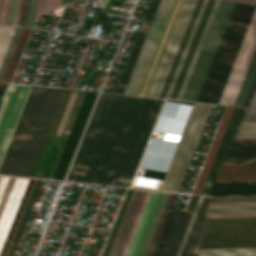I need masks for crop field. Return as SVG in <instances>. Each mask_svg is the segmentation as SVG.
Here are the masks:
<instances>
[{"label":"crop field","mask_w":256,"mask_h":256,"mask_svg":"<svg viewBox=\"0 0 256 256\" xmlns=\"http://www.w3.org/2000/svg\"><path fill=\"white\" fill-rule=\"evenodd\" d=\"M163 102L101 94L68 180L129 187Z\"/></svg>","instance_id":"crop-field-1"},{"label":"crop field","mask_w":256,"mask_h":256,"mask_svg":"<svg viewBox=\"0 0 256 256\" xmlns=\"http://www.w3.org/2000/svg\"><path fill=\"white\" fill-rule=\"evenodd\" d=\"M64 91L32 87L0 174L31 176Z\"/></svg>","instance_id":"crop-field-2"},{"label":"crop field","mask_w":256,"mask_h":256,"mask_svg":"<svg viewBox=\"0 0 256 256\" xmlns=\"http://www.w3.org/2000/svg\"><path fill=\"white\" fill-rule=\"evenodd\" d=\"M177 195L135 190L109 256H153Z\"/></svg>","instance_id":"crop-field-3"},{"label":"crop field","mask_w":256,"mask_h":256,"mask_svg":"<svg viewBox=\"0 0 256 256\" xmlns=\"http://www.w3.org/2000/svg\"><path fill=\"white\" fill-rule=\"evenodd\" d=\"M255 7L240 4L201 102L218 103Z\"/></svg>","instance_id":"crop-field-4"},{"label":"crop field","mask_w":256,"mask_h":256,"mask_svg":"<svg viewBox=\"0 0 256 256\" xmlns=\"http://www.w3.org/2000/svg\"><path fill=\"white\" fill-rule=\"evenodd\" d=\"M256 248V218L206 219L199 249Z\"/></svg>","instance_id":"crop-field-5"},{"label":"crop field","mask_w":256,"mask_h":256,"mask_svg":"<svg viewBox=\"0 0 256 256\" xmlns=\"http://www.w3.org/2000/svg\"><path fill=\"white\" fill-rule=\"evenodd\" d=\"M220 0H204L165 98L180 100Z\"/></svg>","instance_id":"crop-field-6"},{"label":"crop field","mask_w":256,"mask_h":256,"mask_svg":"<svg viewBox=\"0 0 256 256\" xmlns=\"http://www.w3.org/2000/svg\"><path fill=\"white\" fill-rule=\"evenodd\" d=\"M212 106L209 104H195L161 190L179 191Z\"/></svg>","instance_id":"crop-field-7"},{"label":"crop field","mask_w":256,"mask_h":256,"mask_svg":"<svg viewBox=\"0 0 256 256\" xmlns=\"http://www.w3.org/2000/svg\"><path fill=\"white\" fill-rule=\"evenodd\" d=\"M234 4L220 1L181 100H196Z\"/></svg>","instance_id":"crop-field-8"},{"label":"crop field","mask_w":256,"mask_h":256,"mask_svg":"<svg viewBox=\"0 0 256 256\" xmlns=\"http://www.w3.org/2000/svg\"><path fill=\"white\" fill-rule=\"evenodd\" d=\"M174 0H160L123 94L136 95ZM142 85V84H141ZM140 90V89H139ZM138 95V94H137Z\"/></svg>","instance_id":"crop-field-9"},{"label":"crop field","mask_w":256,"mask_h":256,"mask_svg":"<svg viewBox=\"0 0 256 256\" xmlns=\"http://www.w3.org/2000/svg\"><path fill=\"white\" fill-rule=\"evenodd\" d=\"M32 86L8 84L0 103V166Z\"/></svg>","instance_id":"crop-field-10"},{"label":"crop field","mask_w":256,"mask_h":256,"mask_svg":"<svg viewBox=\"0 0 256 256\" xmlns=\"http://www.w3.org/2000/svg\"><path fill=\"white\" fill-rule=\"evenodd\" d=\"M197 0H185L146 96L158 98Z\"/></svg>","instance_id":"crop-field-11"},{"label":"crop field","mask_w":256,"mask_h":256,"mask_svg":"<svg viewBox=\"0 0 256 256\" xmlns=\"http://www.w3.org/2000/svg\"><path fill=\"white\" fill-rule=\"evenodd\" d=\"M255 50L256 9L218 104H234Z\"/></svg>","instance_id":"crop-field-12"},{"label":"crop field","mask_w":256,"mask_h":256,"mask_svg":"<svg viewBox=\"0 0 256 256\" xmlns=\"http://www.w3.org/2000/svg\"><path fill=\"white\" fill-rule=\"evenodd\" d=\"M28 180L0 176V251Z\"/></svg>","instance_id":"crop-field-13"},{"label":"crop field","mask_w":256,"mask_h":256,"mask_svg":"<svg viewBox=\"0 0 256 256\" xmlns=\"http://www.w3.org/2000/svg\"><path fill=\"white\" fill-rule=\"evenodd\" d=\"M191 214L172 211L154 256H175Z\"/></svg>","instance_id":"crop-field-14"},{"label":"crop field","mask_w":256,"mask_h":256,"mask_svg":"<svg viewBox=\"0 0 256 256\" xmlns=\"http://www.w3.org/2000/svg\"><path fill=\"white\" fill-rule=\"evenodd\" d=\"M209 197H199L176 256H196Z\"/></svg>","instance_id":"crop-field-15"},{"label":"crop field","mask_w":256,"mask_h":256,"mask_svg":"<svg viewBox=\"0 0 256 256\" xmlns=\"http://www.w3.org/2000/svg\"><path fill=\"white\" fill-rule=\"evenodd\" d=\"M184 0H175L138 95L145 96Z\"/></svg>","instance_id":"crop-field-16"},{"label":"crop field","mask_w":256,"mask_h":256,"mask_svg":"<svg viewBox=\"0 0 256 256\" xmlns=\"http://www.w3.org/2000/svg\"><path fill=\"white\" fill-rule=\"evenodd\" d=\"M158 3H159V0H152V2L150 4V7L148 9V12L146 14V17L144 19V22L142 24V27H141L140 32L138 34V37L136 39L135 45L133 47V50L131 52V55L129 57V60L127 62V65L125 67V70L123 72V75L121 77V80L119 82V85H118L117 90H116L115 93L122 94L123 91H124V88L126 86L128 78H129L130 73L132 71V68H133L134 63L136 61V58L138 56V53L140 51V48L142 46L143 40L145 38V35L147 33V30L149 28V25L151 23V20L153 18V15L155 13V10L157 8Z\"/></svg>","instance_id":"crop-field-17"},{"label":"crop field","mask_w":256,"mask_h":256,"mask_svg":"<svg viewBox=\"0 0 256 256\" xmlns=\"http://www.w3.org/2000/svg\"><path fill=\"white\" fill-rule=\"evenodd\" d=\"M256 217V203L210 204L206 218Z\"/></svg>","instance_id":"crop-field-18"},{"label":"crop field","mask_w":256,"mask_h":256,"mask_svg":"<svg viewBox=\"0 0 256 256\" xmlns=\"http://www.w3.org/2000/svg\"><path fill=\"white\" fill-rule=\"evenodd\" d=\"M221 164H256V141H231Z\"/></svg>","instance_id":"crop-field-19"},{"label":"crop field","mask_w":256,"mask_h":256,"mask_svg":"<svg viewBox=\"0 0 256 256\" xmlns=\"http://www.w3.org/2000/svg\"><path fill=\"white\" fill-rule=\"evenodd\" d=\"M36 2L37 0H12L7 24L31 27Z\"/></svg>","instance_id":"crop-field-20"},{"label":"crop field","mask_w":256,"mask_h":256,"mask_svg":"<svg viewBox=\"0 0 256 256\" xmlns=\"http://www.w3.org/2000/svg\"><path fill=\"white\" fill-rule=\"evenodd\" d=\"M244 110H245L244 108H237V107L234 110V113L232 115V118L230 120L228 128L226 130V133H225L224 138L222 140V143L220 145L219 151L217 153V156L215 158V161L213 163V166L211 168V171L209 173V176L207 178V181H206L205 186L203 188V191L201 193L202 195H209L210 187H211V184H212L213 179L215 177L217 167H218V165L221 161V158H222V156H223V154L226 150V147H227V145H228V143H229V141H230V139H231V137H232V135L235 131V128H236Z\"/></svg>","instance_id":"crop-field-21"},{"label":"crop field","mask_w":256,"mask_h":256,"mask_svg":"<svg viewBox=\"0 0 256 256\" xmlns=\"http://www.w3.org/2000/svg\"><path fill=\"white\" fill-rule=\"evenodd\" d=\"M235 138H256V91L250 101Z\"/></svg>","instance_id":"crop-field-22"},{"label":"crop field","mask_w":256,"mask_h":256,"mask_svg":"<svg viewBox=\"0 0 256 256\" xmlns=\"http://www.w3.org/2000/svg\"><path fill=\"white\" fill-rule=\"evenodd\" d=\"M256 78V52L234 105L244 106Z\"/></svg>","instance_id":"crop-field-23"},{"label":"crop field","mask_w":256,"mask_h":256,"mask_svg":"<svg viewBox=\"0 0 256 256\" xmlns=\"http://www.w3.org/2000/svg\"><path fill=\"white\" fill-rule=\"evenodd\" d=\"M238 6H239V3H236L235 6H234V9H233L232 14H231V16H230V19H229V21H228V24H227V26H226V28H225V31H224V33H223V36H222V38H221V41H220V43H219V46H218V48H217V51H216V53H215V56H214L213 61H212V63H211V66H210V68H209V71H208V73H207V76H206V78H205V80H204V83H203V85H202V88H201V90H200V93H199V95H198V98H197V100H196V101H198V102H200L201 99H202V96H203V94H204V91H205V89H206V86H207V84H208V81H209V79H210V76H211L212 71H213V69H214V66H215V64H216V61H217L218 56H219V53H220V51H221V48H222V46H223V43H224V41H225V38H226V36H227V33H228V31H229V28H230V26H231V23H232V21H233V18H234V16H235V13H236V11H237Z\"/></svg>","instance_id":"crop-field-24"},{"label":"crop field","mask_w":256,"mask_h":256,"mask_svg":"<svg viewBox=\"0 0 256 256\" xmlns=\"http://www.w3.org/2000/svg\"><path fill=\"white\" fill-rule=\"evenodd\" d=\"M256 256V249L199 250L198 256Z\"/></svg>","instance_id":"crop-field-25"},{"label":"crop field","mask_w":256,"mask_h":256,"mask_svg":"<svg viewBox=\"0 0 256 256\" xmlns=\"http://www.w3.org/2000/svg\"><path fill=\"white\" fill-rule=\"evenodd\" d=\"M41 181H42V180H38V181H37V183H36V185H35V188H34L32 194H31V197H30L29 202H28V204H27L26 210H25V212H24V215H23V217H22V220H21V222H20V225H19V227H18V230H17V232H16V234H15V237H14L12 246H11V248H10V251H9V253H8V256H12V253H13V251H14V248H15V246H16V243H17L18 238H19L20 233H21L20 231H22V228H23V226H24V223H25V221H26V219H27V216H28V214H29V212H30V210H31V207H32V205H33V203H34V200H35V197H36V195H37V192H38L39 186H40V184H41Z\"/></svg>","instance_id":"crop-field-26"},{"label":"crop field","mask_w":256,"mask_h":256,"mask_svg":"<svg viewBox=\"0 0 256 256\" xmlns=\"http://www.w3.org/2000/svg\"><path fill=\"white\" fill-rule=\"evenodd\" d=\"M16 27L0 25V65Z\"/></svg>","instance_id":"crop-field-27"},{"label":"crop field","mask_w":256,"mask_h":256,"mask_svg":"<svg viewBox=\"0 0 256 256\" xmlns=\"http://www.w3.org/2000/svg\"><path fill=\"white\" fill-rule=\"evenodd\" d=\"M22 29H23V28L17 27L16 30H15V33H14V35H13V38H12V40H11V43H10V45H9V48H8V50H7V53H6V55H5V58H4V60H3V63H2V65H1V68H0V82H1L2 79H3V76H4V74H5V71H6V69H7V66H8V64H9V61H10V59H11V56H12V54H13V51H14V49H15V46H16V44H17V41H18V39H19V36H20V34H21Z\"/></svg>","instance_id":"crop-field-28"},{"label":"crop field","mask_w":256,"mask_h":256,"mask_svg":"<svg viewBox=\"0 0 256 256\" xmlns=\"http://www.w3.org/2000/svg\"><path fill=\"white\" fill-rule=\"evenodd\" d=\"M48 3H49V0H38L34 22H35L39 13L44 12V11L47 10ZM59 4H60V0H50L48 10L52 9V8H55V7H58Z\"/></svg>","instance_id":"crop-field-29"},{"label":"crop field","mask_w":256,"mask_h":256,"mask_svg":"<svg viewBox=\"0 0 256 256\" xmlns=\"http://www.w3.org/2000/svg\"><path fill=\"white\" fill-rule=\"evenodd\" d=\"M11 0H0V23L7 22Z\"/></svg>","instance_id":"crop-field-30"},{"label":"crop field","mask_w":256,"mask_h":256,"mask_svg":"<svg viewBox=\"0 0 256 256\" xmlns=\"http://www.w3.org/2000/svg\"><path fill=\"white\" fill-rule=\"evenodd\" d=\"M6 85H7V84H1V83H0V100H1V97H2V95H3V92H4V90H5Z\"/></svg>","instance_id":"crop-field-31"},{"label":"crop field","mask_w":256,"mask_h":256,"mask_svg":"<svg viewBox=\"0 0 256 256\" xmlns=\"http://www.w3.org/2000/svg\"><path fill=\"white\" fill-rule=\"evenodd\" d=\"M234 1H239V2H244V3H250V4H256V0H234Z\"/></svg>","instance_id":"crop-field-32"}]
</instances>
